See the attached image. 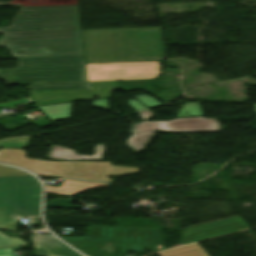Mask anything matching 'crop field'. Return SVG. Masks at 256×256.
I'll use <instances>...</instances> for the list:
<instances>
[{"label":"crop field","mask_w":256,"mask_h":256,"mask_svg":"<svg viewBox=\"0 0 256 256\" xmlns=\"http://www.w3.org/2000/svg\"><path fill=\"white\" fill-rule=\"evenodd\" d=\"M248 228L240 216L190 228L182 234V241L187 244L237 230Z\"/></svg>","instance_id":"obj_11"},{"label":"crop field","mask_w":256,"mask_h":256,"mask_svg":"<svg viewBox=\"0 0 256 256\" xmlns=\"http://www.w3.org/2000/svg\"><path fill=\"white\" fill-rule=\"evenodd\" d=\"M18 63L19 69L0 70L6 84H30V91L91 88L85 82L82 56L26 59Z\"/></svg>","instance_id":"obj_2"},{"label":"crop field","mask_w":256,"mask_h":256,"mask_svg":"<svg viewBox=\"0 0 256 256\" xmlns=\"http://www.w3.org/2000/svg\"><path fill=\"white\" fill-rule=\"evenodd\" d=\"M88 81L154 79L160 71L156 62L86 64Z\"/></svg>","instance_id":"obj_8"},{"label":"crop field","mask_w":256,"mask_h":256,"mask_svg":"<svg viewBox=\"0 0 256 256\" xmlns=\"http://www.w3.org/2000/svg\"><path fill=\"white\" fill-rule=\"evenodd\" d=\"M92 106L108 110L107 99L93 100Z\"/></svg>","instance_id":"obj_23"},{"label":"crop field","mask_w":256,"mask_h":256,"mask_svg":"<svg viewBox=\"0 0 256 256\" xmlns=\"http://www.w3.org/2000/svg\"><path fill=\"white\" fill-rule=\"evenodd\" d=\"M118 62L161 60L163 46L160 27L114 29Z\"/></svg>","instance_id":"obj_6"},{"label":"crop field","mask_w":256,"mask_h":256,"mask_svg":"<svg viewBox=\"0 0 256 256\" xmlns=\"http://www.w3.org/2000/svg\"><path fill=\"white\" fill-rule=\"evenodd\" d=\"M40 198L35 177H0V228L15 230L16 219L39 218Z\"/></svg>","instance_id":"obj_4"},{"label":"crop field","mask_w":256,"mask_h":256,"mask_svg":"<svg viewBox=\"0 0 256 256\" xmlns=\"http://www.w3.org/2000/svg\"><path fill=\"white\" fill-rule=\"evenodd\" d=\"M30 138H19L14 140H4L0 142V147L24 148L29 144Z\"/></svg>","instance_id":"obj_20"},{"label":"crop field","mask_w":256,"mask_h":256,"mask_svg":"<svg viewBox=\"0 0 256 256\" xmlns=\"http://www.w3.org/2000/svg\"><path fill=\"white\" fill-rule=\"evenodd\" d=\"M136 98L148 107L155 106V105H160L159 102H157L156 100H154L153 98H151L147 95L137 96Z\"/></svg>","instance_id":"obj_22"},{"label":"crop field","mask_w":256,"mask_h":256,"mask_svg":"<svg viewBox=\"0 0 256 256\" xmlns=\"http://www.w3.org/2000/svg\"><path fill=\"white\" fill-rule=\"evenodd\" d=\"M73 103L38 107L53 120L66 119L70 117ZM48 117V118H49ZM49 118V119H50Z\"/></svg>","instance_id":"obj_17"},{"label":"crop field","mask_w":256,"mask_h":256,"mask_svg":"<svg viewBox=\"0 0 256 256\" xmlns=\"http://www.w3.org/2000/svg\"><path fill=\"white\" fill-rule=\"evenodd\" d=\"M255 108H256V104H255Z\"/></svg>","instance_id":"obj_26"},{"label":"crop field","mask_w":256,"mask_h":256,"mask_svg":"<svg viewBox=\"0 0 256 256\" xmlns=\"http://www.w3.org/2000/svg\"><path fill=\"white\" fill-rule=\"evenodd\" d=\"M111 184L65 179L60 187L46 186V193L74 196L94 187H110Z\"/></svg>","instance_id":"obj_15"},{"label":"crop field","mask_w":256,"mask_h":256,"mask_svg":"<svg viewBox=\"0 0 256 256\" xmlns=\"http://www.w3.org/2000/svg\"><path fill=\"white\" fill-rule=\"evenodd\" d=\"M23 149H1L0 162L29 169L38 175L113 182L108 176H121L139 171V168L118 167L110 162H52L25 158Z\"/></svg>","instance_id":"obj_3"},{"label":"crop field","mask_w":256,"mask_h":256,"mask_svg":"<svg viewBox=\"0 0 256 256\" xmlns=\"http://www.w3.org/2000/svg\"><path fill=\"white\" fill-rule=\"evenodd\" d=\"M106 145H97L94 156L78 155L77 151L70 148L53 145L47 156L51 160H102Z\"/></svg>","instance_id":"obj_14"},{"label":"crop field","mask_w":256,"mask_h":256,"mask_svg":"<svg viewBox=\"0 0 256 256\" xmlns=\"http://www.w3.org/2000/svg\"><path fill=\"white\" fill-rule=\"evenodd\" d=\"M86 63L117 62L112 29L82 30Z\"/></svg>","instance_id":"obj_10"},{"label":"crop field","mask_w":256,"mask_h":256,"mask_svg":"<svg viewBox=\"0 0 256 256\" xmlns=\"http://www.w3.org/2000/svg\"><path fill=\"white\" fill-rule=\"evenodd\" d=\"M159 254L160 256H209L198 243L160 252Z\"/></svg>","instance_id":"obj_16"},{"label":"crop field","mask_w":256,"mask_h":256,"mask_svg":"<svg viewBox=\"0 0 256 256\" xmlns=\"http://www.w3.org/2000/svg\"><path fill=\"white\" fill-rule=\"evenodd\" d=\"M74 248L79 251L85 253L88 256H125L127 250L133 252H143V245H134V244H122L116 243L115 245V253L106 252L101 250L95 246H105L107 242H67Z\"/></svg>","instance_id":"obj_13"},{"label":"crop field","mask_w":256,"mask_h":256,"mask_svg":"<svg viewBox=\"0 0 256 256\" xmlns=\"http://www.w3.org/2000/svg\"><path fill=\"white\" fill-rule=\"evenodd\" d=\"M22 175H31L20 169L6 167L0 165V176H22Z\"/></svg>","instance_id":"obj_21"},{"label":"crop field","mask_w":256,"mask_h":256,"mask_svg":"<svg viewBox=\"0 0 256 256\" xmlns=\"http://www.w3.org/2000/svg\"><path fill=\"white\" fill-rule=\"evenodd\" d=\"M65 241H114L143 244L155 251L163 249L158 229L89 227V237H61Z\"/></svg>","instance_id":"obj_7"},{"label":"crop field","mask_w":256,"mask_h":256,"mask_svg":"<svg viewBox=\"0 0 256 256\" xmlns=\"http://www.w3.org/2000/svg\"><path fill=\"white\" fill-rule=\"evenodd\" d=\"M93 89L64 90V91H43L30 92L36 106L54 103L79 101L92 99V96L99 98L111 97L114 89L120 88L118 82H96L91 83Z\"/></svg>","instance_id":"obj_9"},{"label":"crop field","mask_w":256,"mask_h":256,"mask_svg":"<svg viewBox=\"0 0 256 256\" xmlns=\"http://www.w3.org/2000/svg\"><path fill=\"white\" fill-rule=\"evenodd\" d=\"M29 245L27 242L12 236H7L0 232V248L13 247V246H25Z\"/></svg>","instance_id":"obj_19"},{"label":"crop field","mask_w":256,"mask_h":256,"mask_svg":"<svg viewBox=\"0 0 256 256\" xmlns=\"http://www.w3.org/2000/svg\"><path fill=\"white\" fill-rule=\"evenodd\" d=\"M36 256H81L52 235H30Z\"/></svg>","instance_id":"obj_12"},{"label":"crop field","mask_w":256,"mask_h":256,"mask_svg":"<svg viewBox=\"0 0 256 256\" xmlns=\"http://www.w3.org/2000/svg\"><path fill=\"white\" fill-rule=\"evenodd\" d=\"M138 114L145 121L133 124L131 128L133 135L127 139L128 146L137 154L150 140L156 129L164 132L221 131L218 120L215 119H180V117L203 116L199 103H185L178 115L179 119L171 121H146L154 115L150 110L141 111Z\"/></svg>","instance_id":"obj_5"},{"label":"crop field","mask_w":256,"mask_h":256,"mask_svg":"<svg viewBox=\"0 0 256 256\" xmlns=\"http://www.w3.org/2000/svg\"><path fill=\"white\" fill-rule=\"evenodd\" d=\"M128 105H130L131 107H133L135 110L141 109V108H145L144 105H142L140 102H138V101L135 100V99L129 100Z\"/></svg>","instance_id":"obj_25"},{"label":"crop field","mask_w":256,"mask_h":256,"mask_svg":"<svg viewBox=\"0 0 256 256\" xmlns=\"http://www.w3.org/2000/svg\"><path fill=\"white\" fill-rule=\"evenodd\" d=\"M0 32V46L6 45L16 59L83 55L77 5L21 8L11 27ZM20 51L26 52L15 53Z\"/></svg>","instance_id":"obj_1"},{"label":"crop field","mask_w":256,"mask_h":256,"mask_svg":"<svg viewBox=\"0 0 256 256\" xmlns=\"http://www.w3.org/2000/svg\"><path fill=\"white\" fill-rule=\"evenodd\" d=\"M13 250H20L19 247L2 248L0 249V256H13Z\"/></svg>","instance_id":"obj_24"},{"label":"crop field","mask_w":256,"mask_h":256,"mask_svg":"<svg viewBox=\"0 0 256 256\" xmlns=\"http://www.w3.org/2000/svg\"><path fill=\"white\" fill-rule=\"evenodd\" d=\"M123 91L132 89H155L154 80L118 81Z\"/></svg>","instance_id":"obj_18"}]
</instances>
